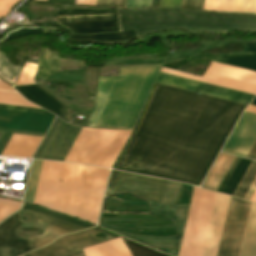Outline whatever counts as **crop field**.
<instances>
[{
    "label": "crop field",
    "mask_w": 256,
    "mask_h": 256,
    "mask_svg": "<svg viewBox=\"0 0 256 256\" xmlns=\"http://www.w3.org/2000/svg\"><path fill=\"white\" fill-rule=\"evenodd\" d=\"M246 106L158 84L115 169L200 186Z\"/></svg>",
    "instance_id": "obj_1"
},
{
    "label": "crop field",
    "mask_w": 256,
    "mask_h": 256,
    "mask_svg": "<svg viewBox=\"0 0 256 256\" xmlns=\"http://www.w3.org/2000/svg\"><path fill=\"white\" fill-rule=\"evenodd\" d=\"M162 64L120 69V78L99 77L87 127L132 130Z\"/></svg>",
    "instance_id": "obj_2"
},
{
    "label": "crop field",
    "mask_w": 256,
    "mask_h": 256,
    "mask_svg": "<svg viewBox=\"0 0 256 256\" xmlns=\"http://www.w3.org/2000/svg\"><path fill=\"white\" fill-rule=\"evenodd\" d=\"M120 31L135 30L137 38L168 29L186 28L192 33L229 29L256 31V15L198 12L192 10H117Z\"/></svg>",
    "instance_id": "obj_3"
},
{
    "label": "crop field",
    "mask_w": 256,
    "mask_h": 256,
    "mask_svg": "<svg viewBox=\"0 0 256 256\" xmlns=\"http://www.w3.org/2000/svg\"><path fill=\"white\" fill-rule=\"evenodd\" d=\"M179 186H180L179 183L167 181L162 205L149 202L151 206V214H156V215L163 214V216L166 219L174 220L178 237H170V238L141 237V236H134V235L118 232V231H113V230L111 231L116 232L125 237H128L130 239H133L142 244H145L156 250H159V249H177L178 250L188 207H189V205H175Z\"/></svg>",
    "instance_id": "obj_4"
},
{
    "label": "crop field",
    "mask_w": 256,
    "mask_h": 256,
    "mask_svg": "<svg viewBox=\"0 0 256 256\" xmlns=\"http://www.w3.org/2000/svg\"><path fill=\"white\" fill-rule=\"evenodd\" d=\"M250 205L231 197L217 256H238Z\"/></svg>",
    "instance_id": "obj_5"
},
{
    "label": "crop field",
    "mask_w": 256,
    "mask_h": 256,
    "mask_svg": "<svg viewBox=\"0 0 256 256\" xmlns=\"http://www.w3.org/2000/svg\"><path fill=\"white\" fill-rule=\"evenodd\" d=\"M22 210L34 213L41 219L39 220L40 222L49 224L43 235L29 238V243L33 250L52 242L55 238L61 235L93 227L90 224L71 219L25 203Z\"/></svg>",
    "instance_id": "obj_6"
},
{
    "label": "crop field",
    "mask_w": 256,
    "mask_h": 256,
    "mask_svg": "<svg viewBox=\"0 0 256 256\" xmlns=\"http://www.w3.org/2000/svg\"><path fill=\"white\" fill-rule=\"evenodd\" d=\"M103 232L108 237L104 240L94 237L93 235ZM119 238L108 233L98 227L81 231L75 234L61 236L52 244L28 253L25 256H62L71 252H75L90 246H94L109 240Z\"/></svg>",
    "instance_id": "obj_7"
},
{
    "label": "crop field",
    "mask_w": 256,
    "mask_h": 256,
    "mask_svg": "<svg viewBox=\"0 0 256 256\" xmlns=\"http://www.w3.org/2000/svg\"><path fill=\"white\" fill-rule=\"evenodd\" d=\"M86 168L83 165L65 164L55 211L75 217Z\"/></svg>",
    "instance_id": "obj_8"
},
{
    "label": "crop field",
    "mask_w": 256,
    "mask_h": 256,
    "mask_svg": "<svg viewBox=\"0 0 256 256\" xmlns=\"http://www.w3.org/2000/svg\"><path fill=\"white\" fill-rule=\"evenodd\" d=\"M64 164L43 161L34 204L53 210Z\"/></svg>",
    "instance_id": "obj_9"
},
{
    "label": "crop field",
    "mask_w": 256,
    "mask_h": 256,
    "mask_svg": "<svg viewBox=\"0 0 256 256\" xmlns=\"http://www.w3.org/2000/svg\"><path fill=\"white\" fill-rule=\"evenodd\" d=\"M165 180L148 178L122 172L118 192L139 195L149 201L162 202Z\"/></svg>",
    "instance_id": "obj_10"
},
{
    "label": "crop field",
    "mask_w": 256,
    "mask_h": 256,
    "mask_svg": "<svg viewBox=\"0 0 256 256\" xmlns=\"http://www.w3.org/2000/svg\"><path fill=\"white\" fill-rule=\"evenodd\" d=\"M156 82L249 104L253 95L160 73Z\"/></svg>",
    "instance_id": "obj_11"
},
{
    "label": "crop field",
    "mask_w": 256,
    "mask_h": 256,
    "mask_svg": "<svg viewBox=\"0 0 256 256\" xmlns=\"http://www.w3.org/2000/svg\"><path fill=\"white\" fill-rule=\"evenodd\" d=\"M246 113H243L223 152L246 158L256 140V116Z\"/></svg>",
    "instance_id": "obj_12"
},
{
    "label": "crop field",
    "mask_w": 256,
    "mask_h": 256,
    "mask_svg": "<svg viewBox=\"0 0 256 256\" xmlns=\"http://www.w3.org/2000/svg\"><path fill=\"white\" fill-rule=\"evenodd\" d=\"M59 22L67 26L71 32L96 33L118 31L115 14L56 17Z\"/></svg>",
    "instance_id": "obj_13"
},
{
    "label": "crop field",
    "mask_w": 256,
    "mask_h": 256,
    "mask_svg": "<svg viewBox=\"0 0 256 256\" xmlns=\"http://www.w3.org/2000/svg\"><path fill=\"white\" fill-rule=\"evenodd\" d=\"M18 211L0 224V256H19L31 251L27 239H19L16 230L23 221Z\"/></svg>",
    "instance_id": "obj_14"
},
{
    "label": "crop field",
    "mask_w": 256,
    "mask_h": 256,
    "mask_svg": "<svg viewBox=\"0 0 256 256\" xmlns=\"http://www.w3.org/2000/svg\"><path fill=\"white\" fill-rule=\"evenodd\" d=\"M80 130L81 127L69 125L62 120L41 159L63 161Z\"/></svg>",
    "instance_id": "obj_15"
},
{
    "label": "crop field",
    "mask_w": 256,
    "mask_h": 256,
    "mask_svg": "<svg viewBox=\"0 0 256 256\" xmlns=\"http://www.w3.org/2000/svg\"><path fill=\"white\" fill-rule=\"evenodd\" d=\"M18 92H20L28 100L54 112L61 118L68 120V109L69 107L65 106L58 100L54 99L35 85H26L14 87ZM53 113V114H54Z\"/></svg>",
    "instance_id": "obj_16"
},
{
    "label": "crop field",
    "mask_w": 256,
    "mask_h": 256,
    "mask_svg": "<svg viewBox=\"0 0 256 256\" xmlns=\"http://www.w3.org/2000/svg\"><path fill=\"white\" fill-rule=\"evenodd\" d=\"M236 157L220 153L201 187L218 191Z\"/></svg>",
    "instance_id": "obj_17"
},
{
    "label": "crop field",
    "mask_w": 256,
    "mask_h": 256,
    "mask_svg": "<svg viewBox=\"0 0 256 256\" xmlns=\"http://www.w3.org/2000/svg\"><path fill=\"white\" fill-rule=\"evenodd\" d=\"M41 138L38 136L13 134L2 155L31 158Z\"/></svg>",
    "instance_id": "obj_18"
},
{
    "label": "crop field",
    "mask_w": 256,
    "mask_h": 256,
    "mask_svg": "<svg viewBox=\"0 0 256 256\" xmlns=\"http://www.w3.org/2000/svg\"><path fill=\"white\" fill-rule=\"evenodd\" d=\"M136 36L133 31L123 33H111L101 35H74L69 38L73 43H117L126 44L136 40Z\"/></svg>",
    "instance_id": "obj_19"
},
{
    "label": "crop field",
    "mask_w": 256,
    "mask_h": 256,
    "mask_svg": "<svg viewBox=\"0 0 256 256\" xmlns=\"http://www.w3.org/2000/svg\"><path fill=\"white\" fill-rule=\"evenodd\" d=\"M85 256H131L121 238L84 249ZM78 251L66 256H84Z\"/></svg>",
    "instance_id": "obj_20"
},
{
    "label": "crop field",
    "mask_w": 256,
    "mask_h": 256,
    "mask_svg": "<svg viewBox=\"0 0 256 256\" xmlns=\"http://www.w3.org/2000/svg\"><path fill=\"white\" fill-rule=\"evenodd\" d=\"M239 256H256V205L252 203Z\"/></svg>",
    "instance_id": "obj_21"
},
{
    "label": "crop field",
    "mask_w": 256,
    "mask_h": 256,
    "mask_svg": "<svg viewBox=\"0 0 256 256\" xmlns=\"http://www.w3.org/2000/svg\"><path fill=\"white\" fill-rule=\"evenodd\" d=\"M50 49L42 48L39 68L36 76L45 79L52 72L60 69L59 54L51 52Z\"/></svg>",
    "instance_id": "obj_22"
},
{
    "label": "crop field",
    "mask_w": 256,
    "mask_h": 256,
    "mask_svg": "<svg viewBox=\"0 0 256 256\" xmlns=\"http://www.w3.org/2000/svg\"><path fill=\"white\" fill-rule=\"evenodd\" d=\"M231 66H236L252 71H256V54L251 55H221L218 61Z\"/></svg>",
    "instance_id": "obj_23"
},
{
    "label": "crop field",
    "mask_w": 256,
    "mask_h": 256,
    "mask_svg": "<svg viewBox=\"0 0 256 256\" xmlns=\"http://www.w3.org/2000/svg\"><path fill=\"white\" fill-rule=\"evenodd\" d=\"M250 163V160L240 158L238 164L236 165L234 171L232 172L230 178L224 186L222 193L232 195L233 191L235 190L236 186L238 185Z\"/></svg>",
    "instance_id": "obj_24"
},
{
    "label": "crop field",
    "mask_w": 256,
    "mask_h": 256,
    "mask_svg": "<svg viewBox=\"0 0 256 256\" xmlns=\"http://www.w3.org/2000/svg\"><path fill=\"white\" fill-rule=\"evenodd\" d=\"M255 178L256 162L252 161L251 165L249 166L248 170L246 171L245 175L237 186L235 192L233 193V196L244 199Z\"/></svg>",
    "instance_id": "obj_25"
},
{
    "label": "crop field",
    "mask_w": 256,
    "mask_h": 256,
    "mask_svg": "<svg viewBox=\"0 0 256 256\" xmlns=\"http://www.w3.org/2000/svg\"><path fill=\"white\" fill-rule=\"evenodd\" d=\"M42 161L33 160L24 200L32 203Z\"/></svg>",
    "instance_id": "obj_26"
},
{
    "label": "crop field",
    "mask_w": 256,
    "mask_h": 256,
    "mask_svg": "<svg viewBox=\"0 0 256 256\" xmlns=\"http://www.w3.org/2000/svg\"><path fill=\"white\" fill-rule=\"evenodd\" d=\"M118 217H149L155 218L151 215H118ZM100 221H136L132 219H100ZM165 220H149V219H137V222H155V223H164ZM101 225H106L102 224ZM137 224H145V225H154V223H137ZM111 226V225H106ZM116 227V226H111ZM137 230H152V228H175L174 226H165V227H148V226H135ZM119 228V227H116ZM123 229V228H121ZM132 230V229H131Z\"/></svg>",
    "instance_id": "obj_27"
},
{
    "label": "crop field",
    "mask_w": 256,
    "mask_h": 256,
    "mask_svg": "<svg viewBox=\"0 0 256 256\" xmlns=\"http://www.w3.org/2000/svg\"><path fill=\"white\" fill-rule=\"evenodd\" d=\"M0 104L38 108L30 103H28L24 98H22L17 93L3 92L0 91ZM40 109V108H38Z\"/></svg>",
    "instance_id": "obj_28"
},
{
    "label": "crop field",
    "mask_w": 256,
    "mask_h": 256,
    "mask_svg": "<svg viewBox=\"0 0 256 256\" xmlns=\"http://www.w3.org/2000/svg\"><path fill=\"white\" fill-rule=\"evenodd\" d=\"M132 256H166L122 239Z\"/></svg>",
    "instance_id": "obj_29"
},
{
    "label": "crop field",
    "mask_w": 256,
    "mask_h": 256,
    "mask_svg": "<svg viewBox=\"0 0 256 256\" xmlns=\"http://www.w3.org/2000/svg\"><path fill=\"white\" fill-rule=\"evenodd\" d=\"M21 203L5 200L0 198V222L12 214L14 211L20 209Z\"/></svg>",
    "instance_id": "obj_30"
},
{
    "label": "crop field",
    "mask_w": 256,
    "mask_h": 256,
    "mask_svg": "<svg viewBox=\"0 0 256 256\" xmlns=\"http://www.w3.org/2000/svg\"><path fill=\"white\" fill-rule=\"evenodd\" d=\"M35 71H36V65L26 63L17 84L16 83L15 84L16 85L32 84Z\"/></svg>",
    "instance_id": "obj_31"
},
{
    "label": "crop field",
    "mask_w": 256,
    "mask_h": 256,
    "mask_svg": "<svg viewBox=\"0 0 256 256\" xmlns=\"http://www.w3.org/2000/svg\"><path fill=\"white\" fill-rule=\"evenodd\" d=\"M106 211L121 212V211H147L146 206H120V203L107 201Z\"/></svg>",
    "instance_id": "obj_32"
},
{
    "label": "crop field",
    "mask_w": 256,
    "mask_h": 256,
    "mask_svg": "<svg viewBox=\"0 0 256 256\" xmlns=\"http://www.w3.org/2000/svg\"><path fill=\"white\" fill-rule=\"evenodd\" d=\"M255 0H234L231 12L252 13Z\"/></svg>",
    "instance_id": "obj_33"
},
{
    "label": "crop field",
    "mask_w": 256,
    "mask_h": 256,
    "mask_svg": "<svg viewBox=\"0 0 256 256\" xmlns=\"http://www.w3.org/2000/svg\"><path fill=\"white\" fill-rule=\"evenodd\" d=\"M67 10V13H65ZM113 9L108 10H84V9H59L57 15H81V14H98V13H113Z\"/></svg>",
    "instance_id": "obj_34"
},
{
    "label": "crop field",
    "mask_w": 256,
    "mask_h": 256,
    "mask_svg": "<svg viewBox=\"0 0 256 256\" xmlns=\"http://www.w3.org/2000/svg\"><path fill=\"white\" fill-rule=\"evenodd\" d=\"M118 174H119L118 171L111 170L105 196L109 195V194H114L115 188H116Z\"/></svg>",
    "instance_id": "obj_35"
},
{
    "label": "crop field",
    "mask_w": 256,
    "mask_h": 256,
    "mask_svg": "<svg viewBox=\"0 0 256 256\" xmlns=\"http://www.w3.org/2000/svg\"><path fill=\"white\" fill-rule=\"evenodd\" d=\"M151 0H127L125 8H149Z\"/></svg>",
    "instance_id": "obj_36"
},
{
    "label": "crop field",
    "mask_w": 256,
    "mask_h": 256,
    "mask_svg": "<svg viewBox=\"0 0 256 256\" xmlns=\"http://www.w3.org/2000/svg\"><path fill=\"white\" fill-rule=\"evenodd\" d=\"M0 109H8V110H17V111H25V112H34V113H43V114H49L43 110L38 109H30V108H22V107H14V106H6V105H0ZM52 114V113H51ZM54 115V114H53Z\"/></svg>",
    "instance_id": "obj_37"
},
{
    "label": "crop field",
    "mask_w": 256,
    "mask_h": 256,
    "mask_svg": "<svg viewBox=\"0 0 256 256\" xmlns=\"http://www.w3.org/2000/svg\"><path fill=\"white\" fill-rule=\"evenodd\" d=\"M182 0H161L159 8H180Z\"/></svg>",
    "instance_id": "obj_38"
},
{
    "label": "crop field",
    "mask_w": 256,
    "mask_h": 256,
    "mask_svg": "<svg viewBox=\"0 0 256 256\" xmlns=\"http://www.w3.org/2000/svg\"><path fill=\"white\" fill-rule=\"evenodd\" d=\"M219 4L220 0H206L203 10L217 12Z\"/></svg>",
    "instance_id": "obj_39"
},
{
    "label": "crop field",
    "mask_w": 256,
    "mask_h": 256,
    "mask_svg": "<svg viewBox=\"0 0 256 256\" xmlns=\"http://www.w3.org/2000/svg\"><path fill=\"white\" fill-rule=\"evenodd\" d=\"M25 5H33V6H47V7H57L59 8L60 4L50 3V2H43L37 0H27Z\"/></svg>",
    "instance_id": "obj_40"
},
{
    "label": "crop field",
    "mask_w": 256,
    "mask_h": 256,
    "mask_svg": "<svg viewBox=\"0 0 256 256\" xmlns=\"http://www.w3.org/2000/svg\"><path fill=\"white\" fill-rule=\"evenodd\" d=\"M205 0H193L190 9L202 10Z\"/></svg>",
    "instance_id": "obj_41"
},
{
    "label": "crop field",
    "mask_w": 256,
    "mask_h": 256,
    "mask_svg": "<svg viewBox=\"0 0 256 256\" xmlns=\"http://www.w3.org/2000/svg\"><path fill=\"white\" fill-rule=\"evenodd\" d=\"M256 52V43L244 44V50L240 53Z\"/></svg>",
    "instance_id": "obj_42"
},
{
    "label": "crop field",
    "mask_w": 256,
    "mask_h": 256,
    "mask_svg": "<svg viewBox=\"0 0 256 256\" xmlns=\"http://www.w3.org/2000/svg\"><path fill=\"white\" fill-rule=\"evenodd\" d=\"M125 3H126V0H112L110 6L114 8H124Z\"/></svg>",
    "instance_id": "obj_43"
},
{
    "label": "crop field",
    "mask_w": 256,
    "mask_h": 256,
    "mask_svg": "<svg viewBox=\"0 0 256 256\" xmlns=\"http://www.w3.org/2000/svg\"><path fill=\"white\" fill-rule=\"evenodd\" d=\"M75 4L95 6L96 0H76Z\"/></svg>",
    "instance_id": "obj_44"
},
{
    "label": "crop field",
    "mask_w": 256,
    "mask_h": 256,
    "mask_svg": "<svg viewBox=\"0 0 256 256\" xmlns=\"http://www.w3.org/2000/svg\"><path fill=\"white\" fill-rule=\"evenodd\" d=\"M247 158H248V159H252V160H256V142H255V144L253 145L251 151L249 152Z\"/></svg>",
    "instance_id": "obj_45"
},
{
    "label": "crop field",
    "mask_w": 256,
    "mask_h": 256,
    "mask_svg": "<svg viewBox=\"0 0 256 256\" xmlns=\"http://www.w3.org/2000/svg\"><path fill=\"white\" fill-rule=\"evenodd\" d=\"M256 190V180L253 183L252 187L250 188L248 194L245 197V200L249 201V199L251 198L252 194L254 193V191Z\"/></svg>",
    "instance_id": "obj_46"
},
{
    "label": "crop field",
    "mask_w": 256,
    "mask_h": 256,
    "mask_svg": "<svg viewBox=\"0 0 256 256\" xmlns=\"http://www.w3.org/2000/svg\"><path fill=\"white\" fill-rule=\"evenodd\" d=\"M0 89L14 91L12 87L0 80Z\"/></svg>",
    "instance_id": "obj_47"
},
{
    "label": "crop field",
    "mask_w": 256,
    "mask_h": 256,
    "mask_svg": "<svg viewBox=\"0 0 256 256\" xmlns=\"http://www.w3.org/2000/svg\"><path fill=\"white\" fill-rule=\"evenodd\" d=\"M111 0H97L96 6H109Z\"/></svg>",
    "instance_id": "obj_48"
},
{
    "label": "crop field",
    "mask_w": 256,
    "mask_h": 256,
    "mask_svg": "<svg viewBox=\"0 0 256 256\" xmlns=\"http://www.w3.org/2000/svg\"><path fill=\"white\" fill-rule=\"evenodd\" d=\"M192 0H183L181 9H189Z\"/></svg>",
    "instance_id": "obj_49"
},
{
    "label": "crop field",
    "mask_w": 256,
    "mask_h": 256,
    "mask_svg": "<svg viewBox=\"0 0 256 256\" xmlns=\"http://www.w3.org/2000/svg\"><path fill=\"white\" fill-rule=\"evenodd\" d=\"M159 3H160V0H152L150 8H158L159 7Z\"/></svg>",
    "instance_id": "obj_50"
},
{
    "label": "crop field",
    "mask_w": 256,
    "mask_h": 256,
    "mask_svg": "<svg viewBox=\"0 0 256 256\" xmlns=\"http://www.w3.org/2000/svg\"><path fill=\"white\" fill-rule=\"evenodd\" d=\"M245 111L256 114V107L249 105L248 108Z\"/></svg>",
    "instance_id": "obj_51"
},
{
    "label": "crop field",
    "mask_w": 256,
    "mask_h": 256,
    "mask_svg": "<svg viewBox=\"0 0 256 256\" xmlns=\"http://www.w3.org/2000/svg\"><path fill=\"white\" fill-rule=\"evenodd\" d=\"M251 105H255V106H256V97H255V99L252 101Z\"/></svg>",
    "instance_id": "obj_52"
},
{
    "label": "crop field",
    "mask_w": 256,
    "mask_h": 256,
    "mask_svg": "<svg viewBox=\"0 0 256 256\" xmlns=\"http://www.w3.org/2000/svg\"><path fill=\"white\" fill-rule=\"evenodd\" d=\"M253 14H256V5H255V9H254V13Z\"/></svg>",
    "instance_id": "obj_53"
},
{
    "label": "crop field",
    "mask_w": 256,
    "mask_h": 256,
    "mask_svg": "<svg viewBox=\"0 0 256 256\" xmlns=\"http://www.w3.org/2000/svg\"><path fill=\"white\" fill-rule=\"evenodd\" d=\"M3 133H0V138L2 137Z\"/></svg>",
    "instance_id": "obj_54"
},
{
    "label": "crop field",
    "mask_w": 256,
    "mask_h": 256,
    "mask_svg": "<svg viewBox=\"0 0 256 256\" xmlns=\"http://www.w3.org/2000/svg\"><path fill=\"white\" fill-rule=\"evenodd\" d=\"M44 1H46V0H44Z\"/></svg>",
    "instance_id": "obj_55"
}]
</instances>
